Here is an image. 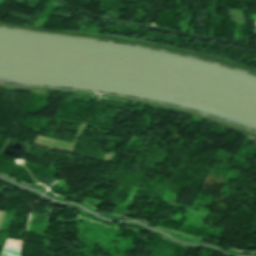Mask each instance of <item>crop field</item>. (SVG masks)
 Masks as SVG:
<instances>
[{"label": "crop field", "mask_w": 256, "mask_h": 256, "mask_svg": "<svg viewBox=\"0 0 256 256\" xmlns=\"http://www.w3.org/2000/svg\"><path fill=\"white\" fill-rule=\"evenodd\" d=\"M23 241L8 239L5 245L21 247ZM4 246L0 256H19L20 248Z\"/></svg>", "instance_id": "crop-field-1"}, {"label": "crop field", "mask_w": 256, "mask_h": 256, "mask_svg": "<svg viewBox=\"0 0 256 256\" xmlns=\"http://www.w3.org/2000/svg\"><path fill=\"white\" fill-rule=\"evenodd\" d=\"M5 215L6 214H4V213H0V226L2 224V221H3L4 217H5Z\"/></svg>", "instance_id": "crop-field-2"}, {"label": "crop field", "mask_w": 256, "mask_h": 256, "mask_svg": "<svg viewBox=\"0 0 256 256\" xmlns=\"http://www.w3.org/2000/svg\"><path fill=\"white\" fill-rule=\"evenodd\" d=\"M255 26H256V23H255Z\"/></svg>", "instance_id": "crop-field-3"}]
</instances>
